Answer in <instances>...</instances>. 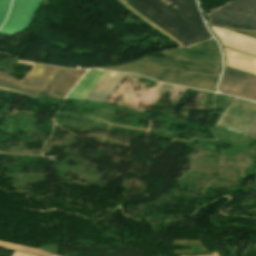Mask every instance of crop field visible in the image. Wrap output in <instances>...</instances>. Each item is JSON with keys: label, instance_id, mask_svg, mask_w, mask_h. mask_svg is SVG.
Here are the masks:
<instances>
[{"label": "crop field", "instance_id": "28ad6ade", "mask_svg": "<svg viewBox=\"0 0 256 256\" xmlns=\"http://www.w3.org/2000/svg\"><path fill=\"white\" fill-rule=\"evenodd\" d=\"M207 25L209 26V28L211 29V31L213 32V34L216 36V38L219 40L220 42V45H221V48H222V51H223V54H224V60H225V65H226V54H225V51H224V48L221 44V41L220 39L218 38V36L215 34V32L212 30L211 26L207 23ZM230 30H233V29H230ZM233 31H236V32H239V33H242V34H245V35H248V36H251V37H254L256 38V32H246V31H241V30H233Z\"/></svg>", "mask_w": 256, "mask_h": 256}, {"label": "crop field", "instance_id": "ac0d7876", "mask_svg": "<svg viewBox=\"0 0 256 256\" xmlns=\"http://www.w3.org/2000/svg\"><path fill=\"white\" fill-rule=\"evenodd\" d=\"M128 5L177 38L184 46L212 38L193 0H134Z\"/></svg>", "mask_w": 256, "mask_h": 256}, {"label": "crop field", "instance_id": "5a996713", "mask_svg": "<svg viewBox=\"0 0 256 256\" xmlns=\"http://www.w3.org/2000/svg\"><path fill=\"white\" fill-rule=\"evenodd\" d=\"M0 247L13 249V250H17V251H22V252H26V253L38 254V255H42V256H52V255L45 253L38 249L21 246V245H17V244H12V243L1 242V241H0Z\"/></svg>", "mask_w": 256, "mask_h": 256}, {"label": "crop field", "instance_id": "f4fd0767", "mask_svg": "<svg viewBox=\"0 0 256 256\" xmlns=\"http://www.w3.org/2000/svg\"><path fill=\"white\" fill-rule=\"evenodd\" d=\"M219 91L256 101V77L225 67Z\"/></svg>", "mask_w": 256, "mask_h": 256}, {"label": "crop field", "instance_id": "dd49c442", "mask_svg": "<svg viewBox=\"0 0 256 256\" xmlns=\"http://www.w3.org/2000/svg\"><path fill=\"white\" fill-rule=\"evenodd\" d=\"M40 0H14L9 17L0 30L8 36H13L26 30Z\"/></svg>", "mask_w": 256, "mask_h": 256}, {"label": "crop field", "instance_id": "d8731c3e", "mask_svg": "<svg viewBox=\"0 0 256 256\" xmlns=\"http://www.w3.org/2000/svg\"><path fill=\"white\" fill-rule=\"evenodd\" d=\"M105 72L106 71L98 69L88 70L66 98L84 99Z\"/></svg>", "mask_w": 256, "mask_h": 256}, {"label": "crop field", "instance_id": "e52e79f7", "mask_svg": "<svg viewBox=\"0 0 256 256\" xmlns=\"http://www.w3.org/2000/svg\"><path fill=\"white\" fill-rule=\"evenodd\" d=\"M85 71L60 68L38 97L63 99Z\"/></svg>", "mask_w": 256, "mask_h": 256}, {"label": "crop field", "instance_id": "d1516ede", "mask_svg": "<svg viewBox=\"0 0 256 256\" xmlns=\"http://www.w3.org/2000/svg\"><path fill=\"white\" fill-rule=\"evenodd\" d=\"M246 135L256 138V120L253 122V124L248 129V131L246 132Z\"/></svg>", "mask_w": 256, "mask_h": 256}, {"label": "crop field", "instance_id": "34b2d1b8", "mask_svg": "<svg viewBox=\"0 0 256 256\" xmlns=\"http://www.w3.org/2000/svg\"><path fill=\"white\" fill-rule=\"evenodd\" d=\"M30 64L33 66L31 71L21 81L0 72V89L37 97L59 68Z\"/></svg>", "mask_w": 256, "mask_h": 256}, {"label": "crop field", "instance_id": "8a807250", "mask_svg": "<svg viewBox=\"0 0 256 256\" xmlns=\"http://www.w3.org/2000/svg\"><path fill=\"white\" fill-rule=\"evenodd\" d=\"M125 71L180 86L215 90L221 60L214 39L183 49L150 54L134 63L101 68Z\"/></svg>", "mask_w": 256, "mask_h": 256}, {"label": "crop field", "instance_id": "3316defc", "mask_svg": "<svg viewBox=\"0 0 256 256\" xmlns=\"http://www.w3.org/2000/svg\"><path fill=\"white\" fill-rule=\"evenodd\" d=\"M9 3L10 0H0V25L7 15Z\"/></svg>", "mask_w": 256, "mask_h": 256}, {"label": "crop field", "instance_id": "cbeb9de0", "mask_svg": "<svg viewBox=\"0 0 256 256\" xmlns=\"http://www.w3.org/2000/svg\"><path fill=\"white\" fill-rule=\"evenodd\" d=\"M123 1H125L126 3H128V2H130V1H132V0H123Z\"/></svg>", "mask_w": 256, "mask_h": 256}, {"label": "crop field", "instance_id": "22f410ed", "mask_svg": "<svg viewBox=\"0 0 256 256\" xmlns=\"http://www.w3.org/2000/svg\"><path fill=\"white\" fill-rule=\"evenodd\" d=\"M13 256H29V255H24V254H20V253H14Z\"/></svg>", "mask_w": 256, "mask_h": 256}, {"label": "crop field", "instance_id": "412701ff", "mask_svg": "<svg viewBox=\"0 0 256 256\" xmlns=\"http://www.w3.org/2000/svg\"><path fill=\"white\" fill-rule=\"evenodd\" d=\"M210 16L215 24L256 29V0H234Z\"/></svg>", "mask_w": 256, "mask_h": 256}]
</instances>
